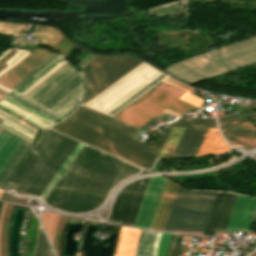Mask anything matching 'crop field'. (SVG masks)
<instances>
[{"label": "crop field", "instance_id": "crop-field-6", "mask_svg": "<svg viewBox=\"0 0 256 256\" xmlns=\"http://www.w3.org/2000/svg\"><path fill=\"white\" fill-rule=\"evenodd\" d=\"M213 191H187L178 186L164 230L202 234Z\"/></svg>", "mask_w": 256, "mask_h": 256}, {"label": "crop field", "instance_id": "crop-field-22", "mask_svg": "<svg viewBox=\"0 0 256 256\" xmlns=\"http://www.w3.org/2000/svg\"><path fill=\"white\" fill-rule=\"evenodd\" d=\"M84 80L85 77L83 75V72H81L69 83H67L64 87H62L58 92H56L53 96H51L48 100L41 104V106L49 109L60 99H62L65 95H67L70 91H72L75 87H77L80 83H82Z\"/></svg>", "mask_w": 256, "mask_h": 256}, {"label": "crop field", "instance_id": "crop-field-40", "mask_svg": "<svg viewBox=\"0 0 256 256\" xmlns=\"http://www.w3.org/2000/svg\"><path fill=\"white\" fill-rule=\"evenodd\" d=\"M1 192V191H0Z\"/></svg>", "mask_w": 256, "mask_h": 256}, {"label": "crop field", "instance_id": "crop-field-11", "mask_svg": "<svg viewBox=\"0 0 256 256\" xmlns=\"http://www.w3.org/2000/svg\"><path fill=\"white\" fill-rule=\"evenodd\" d=\"M51 54H53V52L49 49L38 47L7 74H5L0 79V83L10 88Z\"/></svg>", "mask_w": 256, "mask_h": 256}, {"label": "crop field", "instance_id": "crop-field-23", "mask_svg": "<svg viewBox=\"0 0 256 256\" xmlns=\"http://www.w3.org/2000/svg\"><path fill=\"white\" fill-rule=\"evenodd\" d=\"M184 128H172L158 157L169 159Z\"/></svg>", "mask_w": 256, "mask_h": 256}, {"label": "crop field", "instance_id": "crop-field-24", "mask_svg": "<svg viewBox=\"0 0 256 256\" xmlns=\"http://www.w3.org/2000/svg\"><path fill=\"white\" fill-rule=\"evenodd\" d=\"M58 218H59V214L57 213L42 211L41 222L52 244L54 240V234H55Z\"/></svg>", "mask_w": 256, "mask_h": 256}, {"label": "crop field", "instance_id": "crop-field-20", "mask_svg": "<svg viewBox=\"0 0 256 256\" xmlns=\"http://www.w3.org/2000/svg\"><path fill=\"white\" fill-rule=\"evenodd\" d=\"M22 140L12 134L2 131L0 134V172L15 153Z\"/></svg>", "mask_w": 256, "mask_h": 256}, {"label": "crop field", "instance_id": "crop-field-33", "mask_svg": "<svg viewBox=\"0 0 256 256\" xmlns=\"http://www.w3.org/2000/svg\"><path fill=\"white\" fill-rule=\"evenodd\" d=\"M180 99L187 101L189 103H192L198 107H200L201 104L204 102L200 98L196 97L195 95H193L189 92H186Z\"/></svg>", "mask_w": 256, "mask_h": 256}, {"label": "crop field", "instance_id": "crop-field-7", "mask_svg": "<svg viewBox=\"0 0 256 256\" xmlns=\"http://www.w3.org/2000/svg\"><path fill=\"white\" fill-rule=\"evenodd\" d=\"M141 62L132 57H96L81 68L87 82V90L82 103H87Z\"/></svg>", "mask_w": 256, "mask_h": 256}, {"label": "crop field", "instance_id": "crop-field-1", "mask_svg": "<svg viewBox=\"0 0 256 256\" xmlns=\"http://www.w3.org/2000/svg\"><path fill=\"white\" fill-rule=\"evenodd\" d=\"M140 170L84 144L43 201L58 210L90 212L102 205L115 185Z\"/></svg>", "mask_w": 256, "mask_h": 256}, {"label": "crop field", "instance_id": "crop-field-8", "mask_svg": "<svg viewBox=\"0 0 256 256\" xmlns=\"http://www.w3.org/2000/svg\"><path fill=\"white\" fill-rule=\"evenodd\" d=\"M221 132L231 146L250 150L256 147V128L250 121L238 123L235 115L218 119Z\"/></svg>", "mask_w": 256, "mask_h": 256}, {"label": "crop field", "instance_id": "crop-field-34", "mask_svg": "<svg viewBox=\"0 0 256 256\" xmlns=\"http://www.w3.org/2000/svg\"><path fill=\"white\" fill-rule=\"evenodd\" d=\"M163 81L167 82V83H170V84H173L181 89H184V90H187L188 88H190V86L188 85H185L175 79H173L172 77L170 76H167L166 78L163 79Z\"/></svg>", "mask_w": 256, "mask_h": 256}, {"label": "crop field", "instance_id": "crop-field-37", "mask_svg": "<svg viewBox=\"0 0 256 256\" xmlns=\"http://www.w3.org/2000/svg\"><path fill=\"white\" fill-rule=\"evenodd\" d=\"M0 94L4 96L6 93H4V92L0 91Z\"/></svg>", "mask_w": 256, "mask_h": 256}, {"label": "crop field", "instance_id": "crop-field-19", "mask_svg": "<svg viewBox=\"0 0 256 256\" xmlns=\"http://www.w3.org/2000/svg\"><path fill=\"white\" fill-rule=\"evenodd\" d=\"M85 90L86 86H84V83L80 84L77 88H75L49 110L53 111L61 117L67 115L77 104L76 102H81Z\"/></svg>", "mask_w": 256, "mask_h": 256}, {"label": "crop field", "instance_id": "crop-field-29", "mask_svg": "<svg viewBox=\"0 0 256 256\" xmlns=\"http://www.w3.org/2000/svg\"><path fill=\"white\" fill-rule=\"evenodd\" d=\"M24 27V24H8L0 22V33L19 36Z\"/></svg>", "mask_w": 256, "mask_h": 256}, {"label": "crop field", "instance_id": "crop-field-27", "mask_svg": "<svg viewBox=\"0 0 256 256\" xmlns=\"http://www.w3.org/2000/svg\"><path fill=\"white\" fill-rule=\"evenodd\" d=\"M172 126L217 127L214 119H189V118H181Z\"/></svg>", "mask_w": 256, "mask_h": 256}, {"label": "crop field", "instance_id": "crop-field-25", "mask_svg": "<svg viewBox=\"0 0 256 256\" xmlns=\"http://www.w3.org/2000/svg\"><path fill=\"white\" fill-rule=\"evenodd\" d=\"M83 146V143L78 142V144L75 146V148L73 149V151L70 153V155L68 156V158L65 160V162L63 163V165L60 167V169L58 170V172L55 174V176L53 177V179L50 181V183L48 184V186L45 188V190L43 191V193L40 195L41 197H45L46 194L49 192V190L52 188V186L55 184V182L57 181V179L60 177V175L63 173V171L66 169V167L69 165V163L71 162V160L74 158V156L77 154V152L80 150V148ZM45 199V198H44Z\"/></svg>", "mask_w": 256, "mask_h": 256}, {"label": "crop field", "instance_id": "crop-field-12", "mask_svg": "<svg viewBox=\"0 0 256 256\" xmlns=\"http://www.w3.org/2000/svg\"><path fill=\"white\" fill-rule=\"evenodd\" d=\"M95 57L96 56L90 55L87 58L85 57L86 59L81 61L76 66L72 64L29 100L40 105L52 94H54L57 90H59L63 85H65L68 81H70L73 77H75L80 72L78 68L83 67L85 64H87L89 61H91Z\"/></svg>", "mask_w": 256, "mask_h": 256}, {"label": "crop field", "instance_id": "crop-field-28", "mask_svg": "<svg viewBox=\"0 0 256 256\" xmlns=\"http://www.w3.org/2000/svg\"><path fill=\"white\" fill-rule=\"evenodd\" d=\"M52 249L48 243V240L40 226L37 247L34 256H51Z\"/></svg>", "mask_w": 256, "mask_h": 256}, {"label": "crop field", "instance_id": "crop-field-31", "mask_svg": "<svg viewBox=\"0 0 256 256\" xmlns=\"http://www.w3.org/2000/svg\"><path fill=\"white\" fill-rule=\"evenodd\" d=\"M172 234L163 233L156 256H166Z\"/></svg>", "mask_w": 256, "mask_h": 256}, {"label": "crop field", "instance_id": "crop-field-32", "mask_svg": "<svg viewBox=\"0 0 256 256\" xmlns=\"http://www.w3.org/2000/svg\"><path fill=\"white\" fill-rule=\"evenodd\" d=\"M62 58L61 55L59 57H57L53 62H51L48 66H46L43 70H41L37 75H35L36 77L31 80L27 85H25L21 90H19L17 93H21L22 91H24L28 86H30L34 81H36L40 76H42L46 71H48L52 66H54L58 61H60Z\"/></svg>", "mask_w": 256, "mask_h": 256}, {"label": "crop field", "instance_id": "crop-field-36", "mask_svg": "<svg viewBox=\"0 0 256 256\" xmlns=\"http://www.w3.org/2000/svg\"><path fill=\"white\" fill-rule=\"evenodd\" d=\"M252 222H256V208H255V213H254V217H253V221Z\"/></svg>", "mask_w": 256, "mask_h": 256}, {"label": "crop field", "instance_id": "crop-field-35", "mask_svg": "<svg viewBox=\"0 0 256 256\" xmlns=\"http://www.w3.org/2000/svg\"><path fill=\"white\" fill-rule=\"evenodd\" d=\"M5 204H3V208H2V212H1V216H0V236H1V224H2V216H3V212H4V208H5Z\"/></svg>", "mask_w": 256, "mask_h": 256}, {"label": "crop field", "instance_id": "crop-field-3", "mask_svg": "<svg viewBox=\"0 0 256 256\" xmlns=\"http://www.w3.org/2000/svg\"><path fill=\"white\" fill-rule=\"evenodd\" d=\"M76 144L77 141L47 129L5 190L39 197Z\"/></svg>", "mask_w": 256, "mask_h": 256}, {"label": "crop field", "instance_id": "crop-field-38", "mask_svg": "<svg viewBox=\"0 0 256 256\" xmlns=\"http://www.w3.org/2000/svg\"><path fill=\"white\" fill-rule=\"evenodd\" d=\"M3 96L0 95V98H2Z\"/></svg>", "mask_w": 256, "mask_h": 256}, {"label": "crop field", "instance_id": "crop-field-17", "mask_svg": "<svg viewBox=\"0 0 256 256\" xmlns=\"http://www.w3.org/2000/svg\"><path fill=\"white\" fill-rule=\"evenodd\" d=\"M162 233L141 230L134 256H155Z\"/></svg>", "mask_w": 256, "mask_h": 256}, {"label": "crop field", "instance_id": "crop-field-21", "mask_svg": "<svg viewBox=\"0 0 256 256\" xmlns=\"http://www.w3.org/2000/svg\"><path fill=\"white\" fill-rule=\"evenodd\" d=\"M34 35L39 37V44L55 49L57 43L61 38V34L53 28L38 26ZM26 43V42H22ZM30 44V43H26Z\"/></svg>", "mask_w": 256, "mask_h": 256}, {"label": "crop field", "instance_id": "crop-field-30", "mask_svg": "<svg viewBox=\"0 0 256 256\" xmlns=\"http://www.w3.org/2000/svg\"><path fill=\"white\" fill-rule=\"evenodd\" d=\"M71 63L67 62L64 64L60 69H58L55 73H53L50 77H48L44 82H42L39 86H37L34 90H32L28 95H26V98L32 97L36 92H38L41 88H43L47 83H49L52 79H54L58 74H60L63 70H65Z\"/></svg>", "mask_w": 256, "mask_h": 256}, {"label": "crop field", "instance_id": "crop-field-10", "mask_svg": "<svg viewBox=\"0 0 256 256\" xmlns=\"http://www.w3.org/2000/svg\"><path fill=\"white\" fill-rule=\"evenodd\" d=\"M164 179L150 178L133 226L148 228Z\"/></svg>", "mask_w": 256, "mask_h": 256}, {"label": "crop field", "instance_id": "crop-field-9", "mask_svg": "<svg viewBox=\"0 0 256 256\" xmlns=\"http://www.w3.org/2000/svg\"><path fill=\"white\" fill-rule=\"evenodd\" d=\"M256 198L237 195L226 230L248 232Z\"/></svg>", "mask_w": 256, "mask_h": 256}, {"label": "crop field", "instance_id": "crop-field-26", "mask_svg": "<svg viewBox=\"0 0 256 256\" xmlns=\"http://www.w3.org/2000/svg\"><path fill=\"white\" fill-rule=\"evenodd\" d=\"M7 96H9V97L19 101L20 103L30 107L31 109H33V110L43 114L44 116H46V117H48V118H50V119H52L54 121H56L59 118H61V117H59V116H57V115H55V114L45 110L44 108H42V107H40V106L30 102L29 100H27V99H25V98L15 94L13 92H10Z\"/></svg>", "mask_w": 256, "mask_h": 256}, {"label": "crop field", "instance_id": "crop-field-13", "mask_svg": "<svg viewBox=\"0 0 256 256\" xmlns=\"http://www.w3.org/2000/svg\"><path fill=\"white\" fill-rule=\"evenodd\" d=\"M178 184L166 179L149 228L163 230Z\"/></svg>", "mask_w": 256, "mask_h": 256}, {"label": "crop field", "instance_id": "crop-field-2", "mask_svg": "<svg viewBox=\"0 0 256 256\" xmlns=\"http://www.w3.org/2000/svg\"><path fill=\"white\" fill-rule=\"evenodd\" d=\"M52 129L150 169L160 149L134 138L141 129L80 105Z\"/></svg>", "mask_w": 256, "mask_h": 256}, {"label": "crop field", "instance_id": "crop-field-14", "mask_svg": "<svg viewBox=\"0 0 256 256\" xmlns=\"http://www.w3.org/2000/svg\"><path fill=\"white\" fill-rule=\"evenodd\" d=\"M207 130L186 128L172 157L194 158Z\"/></svg>", "mask_w": 256, "mask_h": 256}, {"label": "crop field", "instance_id": "crop-field-18", "mask_svg": "<svg viewBox=\"0 0 256 256\" xmlns=\"http://www.w3.org/2000/svg\"><path fill=\"white\" fill-rule=\"evenodd\" d=\"M231 149L220 137L217 129H209L196 156L222 153ZM195 156V157H196Z\"/></svg>", "mask_w": 256, "mask_h": 256}, {"label": "crop field", "instance_id": "crop-field-4", "mask_svg": "<svg viewBox=\"0 0 256 256\" xmlns=\"http://www.w3.org/2000/svg\"><path fill=\"white\" fill-rule=\"evenodd\" d=\"M255 61L256 36L169 65L166 70L191 83Z\"/></svg>", "mask_w": 256, "mask_h": 256}, {"label": "crop field", "instance_id": "crop-field-39", "mask_svg": "<svg viewBox=\"0 0 256 256\" xmlns=\"http://www.w3.org/2000/svg\"><path fill=\"white\" fill-rule=\"evenodd\" d=\"M1 130H2V129L0 128V132H1Z\"/></svg>", "mask_w": 256, "mask_h": 256}, {"label": "crop field", "instance_id": "crop-field-16", "mask_svg": "<svg viewBox=\"0 0 256 256\" xmlns=\"http://www.w3.org/2000/svg\"><path fill=\"white\" fill-rule=\"evenodd\" d=\"M139 231L121 227L114 256H133Z\"/></svg>", "mask_w": 256, "mask_h": 256}, {"label": "crop field", "instance_id": "crop-field-15", "mask_svg": "<svg viewBox=\"0 0 256 256\" xmlns=\"http://www.w3.org/2000/svg\"><path fill=\"white\" fill-rule=\"evenodd\" d=\"M33 146L24 142L20 145L16 153L13 155L9 163L6 165L4 170L0 174V187L4 189L9 180L12 178L14 173L17 171L19 166L28 156Z\"/></svg>", "mask_w": 256, "mask_h": 256}, {"label": "crop field", "instance_id": "crop-field-5", "mask_svg": "<svg viewBox=\"0 0 256 256\" xmlns=\"http://www.w3.org/2000/svg\"><path fill=\"white\" fill-rule=\"evenodd\" d=\"M184 93L185 91L163 82L159 87L154 86L136 98L113 117L141 127L165 108L183 114L196 107L178 99Z\"/></svg>", "mask_w": 256, "mask_h": 256}]
</instances>
